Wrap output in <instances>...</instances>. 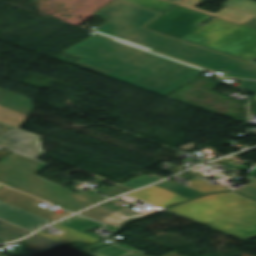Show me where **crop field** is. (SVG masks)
<instances>
[{
	"instance_id": "8a807250",
	"label": "crop field",
	"mask_w": 256,
	"mask_h": 256,
	"mask_svg": "<svg viewBox=\"0 0 256 256\" xmlns=\"http://www.w3.org/2000/svg\"><path fill=\"white\" fill-rule=\"evenodd\" d=\"M63 53L81 58L78 63L108 72L104 76L163 96L206 71L98 34Z\"/></svg>"
},
{
	"instance_id": "ac0d7876",
	"label": "crop field",
	"mask_w": 256,
	"mask_h": 256,
	"mask_svg": "<svg viewBox=\"0 0 256 256\" xmlns=\"http://www.w3.org/2000/svg\"><path fill=\"white\" fill-rule=\"evenodd\" d=\"M160 13L115 0L95 16L110 20L95 32L229 76L256 80V65L144 29Z\"/></svg>"
},
{
	"instance_id": "34b2d1b8",
	"label": "crop field",
	"mask_w": 256,
	"mask_h": 256,
	"mask_svg": "<svg viewBox=\"0 0 256 256\" xmlns=\"http://www.w3.org/2000/svg\"><path fill=\"white\" fill-rule=\"evenodd\" d=\"M210 16L176 5L146 27L246 61L256 58V30L218 18L197 26Z\"/></svg>"
},
{
	"instance_id": "412701ff",
	"label": "crop field",
	"mask_w": 256,
	"mask_h": 256,
	"mask_svg": "<svg viewBox=\"0 0 256 256\" xmlns=\"http://www.w3.org/2000/svg\"><path fill=\"white\" fill-rule=\"evenodd\" d=\"M167 210L244 240L256 237V203L232 192L211 194Z\"/></svg>"
},
{
	"instance_id": "f4fd0767",
	"label": "crop field",
	"mask_w": 256,
	"mask_h": 256,
	"mask_svg": "<svg viewBox=\"0 0 256 256\" xmlns=\"http://www.w3.org/2000/svg\"><path fill=\"white\" fill-rule=\"evenodd\" d=\"M47 165L18 154H11L0 161V182L51 202L78 211L104 199L102 195L75 194L46 180L33 176Z\"/></svg>"
},
{
	"instance_id": "dd49c442",
	"label": "crop field",
	"mask_w": 256,
	"mask_h": 256,
	"mask_svg": "<svg viewBox=\"0 0 256 256\" xmlns=\"http://www.w3.org/2000/svg\"><path fill=\"white\" fill-rule=\"evenodd\" d=\"M126 204L120 205L117 200H110L81 214L97 219L103 223L114 227H121L122 224L133 218L146 216L145 214L125 207Z\"/></svg>"
},
{
	"instance_id": "e52e79f7",
	"label": "crop field",
	"mask_w": 256,
	"mask_h": 256,
	"mask_svg": "<svg viewBox=\"0 0 256 256\" xmlns=\"http://www.w3.org/2000/svg\"><path fill=\"white\" fill-rule=\"evenodd\" d=\"M0 200L55 221L59 218L67 216L71 213L65 212L61 215H58L54 212H51L47 209H44L36 204L42 202L32 196L26 195L24 193L18 192L16 190L10 189L8 187L0 188Z\"/></svg>"
},
{
	"instance_id": "d8731c3e",
	"label": "crop field",
	"mask_w": 256,
	"mask_h": 256,
	"mask_svg": "<svg viewBox=\"0 0 256 256\" xmlns=\"http://www.w3.org/2000/svg\"><path fill=\"white\" fill-rule=\"evenodd\" d=\"M0 145L34 159L43 154L39 138L19 130L0 137Z\"/></svg>"
},
{
	"instance_id": "5a996713",
	"label": "crop field",
	"mask_w": 256,
	"mask_h": 256,
	"mask_svg": "<svg viewBox=\"0 0 256 256\" xmlns=\"http://www.w3.org/2000/svg\"><path fill=\"white\" fill-rule=\"evenodd\" d=\"M0 218L32 232L52 222L2 201H0Z\"/></svg>"
},
{
	"instance_id": "3316defc",
	"label": "crop field",
	"mask_w": 256,
	"mask_h": 256,
	"mask_svg": "<svg viewBox=\"0 0 256 256\" xmlns=\"http://www.w3.org/2000/svg\"><path fill=\"white\" fill-rule=\"evenodd\" d=\"M132 197L147 201L159 207H166L170 204L186 201L188 199L176 194L167 192L158 187H149L144 190L129 194Z\"/></svg>"
},
{
	"instance_id": "28ad6ade",
	"label": "crop field",
	"mask_w": 256,
	"mask_h": 256,
	"mask_svg": "<svg viewBox=\"0 0 256 256\" xmlns=\"http://www.w3.org/2000/svg\"><path fill=\"white\" fill-rule=\"evenodd\" d=\"M202 1L203 0H184V1L180 2L178 5L185 6V7L191 8V9H195V10H198V11H201V12H204V13H208V14H211V15L216 16L218 18H222V19H225V20L240 23L242 25L246 21L255 17V16H252V15L240 13L238 11H235V10L227 8V7L223 8L222 10H220L219 12H217L215 14L194 7L195 5L199 4Z\"/></svg>"
},
{
	"instance_id": "d1516ede",
	"label": "crop field",
	"mask_w": 256,
	"mask_h": 256,
	"mask_svg": "<svg viewBox=\"0 0 256 256\" xmlns=\"http://www.w3.org/2000/svg\"><path fill=\"white\" fill-rule=\"evenodd\" d=\"M0 105L30 115L33 110L31 100L27 97L6 90L0 98Z\"/></svg>"
},
{
	"instance_id": "22f410ed",
	"label": "crop field",
	"mask_w": 256,
	"mask_h": 256,
	"mask_svg": "<svg viewBox=\"0 0 256 256\" xmlns=\"http://www.w3.org/2000/svg\"><path fill=\"white\" fill-rule=\"evenodd\" d=\"M53 226L61 229L62 233L59 234V235H56V236L46 235V234H43L41 232H39L37 234L42 235L44 237H47V238H49L51 240H54L56 242H59L61 244H64L66 242H70L72 240H81V241H84V242L89 244V243H93V242L99 240V239H95L93 237L87 236L85 234L79 233L77 231L71 230L69 228L63 227V226L58 225V224H55Z\"/></svg>"
},
{
	"instance_id": "cbeb9de0",
	"label": "crop field",
	"mask_w": 256,
	"mask_h": 256,
	"mask_svg": "<svg viewBox=\"0 0 256 256\" xmlns=\"http://www.w3.org/2000/svg\"><path fill=\"white\" fill-rule=\"evenodd\" d=\"M102 243H104V241L102 242H99L93 246H86L84 244H76V245H73L71 246L72 248L74 249H77L79 251H82L86 254H89L91 256H124V255H127L129 253H131L130 251H127V250H123L115 245H111L107 248H102V249H99L96 253H92L89 249L91 248H95V247H98L100 245H102Z\"/></svg>"
},
{
	"instance_id": "5142ce71",
	"label": "crop field",
	"mask_w": 256,
	"mask_h": 256,
	"mask_svg": "<svg viewBox=\"0 0 256 256\" xmlns=\"http://www.w3.org/2000/svg\"><path fill=\"white\" fill-rule=\"evenodd\" d=\"M58 224H61L63 226L69 227L71 229L77 230L79 232L85 233L87 235L93 236L95 238L102 237L100 235H95L93 233L85 231L88 228L91 227H100L102 224L94 222L92 220L86 219L81 216H73L67 220H64Z\"/></svg>"
},
{
	"instance_id": "d9b57169",
	"label": "crop field",
	"mask_w": 256,
	"mask_h": 256,
	"mask_svg": "<svg viewBox=\"0 0 256 256\" xmlns=\"http://www.w3.org/2000/svg\"><path fill=\"white\" fill-rule=\"evenodd\" d=\"M26 240L32 253L46 252L57 245H61L37 234L30 236Z\"/></svg>"
},
{
	"instance_id": "733c2abd",
	"label": "crop field",
	"mask_w": 256,
	"mask_h": 256,
	"mask_svg": "<svg viewBox=\"0 0 256 256\" xmlns=\"http://www.w3.org/2000/svg\"><path fill=\"white\" fill-rule=\"evenodd\" d=\"M156 186H158L160 188H163L167 191L176 193L178 195L187 197L189 199L195 198V197L203 194V193H200L198 191H195V190L189 189L187 187H184V186H182L178 183H175L173 181H170V180L165 181V182H161V183L157 184Z\"/></svg>"
},
{
	"instance_id": "4a817a6b",
	"label": "crop field",
	"mask_w": 256,
	"mask_h": 256,
	"mask_svg": "<svg viewBox=\"0 0 256 256\" xmlns=\"http://www.w3.org/2000/svg\"><path fill=\"white\" fill-rule=\"evenodd\" d=\"M27 118L28 115L0 106V121L20 128Z\"/></svg>"
},
{
	"instance_id": "bc2a9ffb",
	"label": "crop field",
	"mask_w": 256,
	"mask_h": 256,
	"mask_svg": "<svg viewBox=\"0 0 256 256\" xmlns=\"http://www.w3.org/2000/svg\"><path fill=\"white\" fill-rule=\"evenodd\" d=\"M31 232L18 228L16 226L10 225L3 221H0V236L11 241L19 239Z\"/></svg>"
},
{
	"instance_id": "214f88e0",
	"label": "crop field",
	"mask_w": 256,
	"mask_h": 256,
	"mask_svg": "<svg viewBox=\"0 0 256 256\" xmlns=\"http://www.w3.org/2000/svg\"><path fill=\"white\" fill-rule=\"evenodd\" d=\"M127 1L157 12H164L170 7H172L174 4L162 1V0H123Z\"/></svg>"
},
{
	"instance_id": "92a150f3",
	"label": "crop field",
	"mask_w": 256,
	"mask_h": 256,
	"mask_svg": "<svg viewBox=\"0 0 256 256\" xmlns=\"http://www.w3.org/2000/svg\"><path fill=\"white\" fill-rule=\"evenodd\" d=\"M184 186L198 190L203 193L211 192V191L229 190V188H225V187H221V186H213V185L205 183L197 178L187 182V184Z\"/></svg>"
},
{
	"instance_id": "dafd665d",
	"label": "crop field",
	"mask_w": 256,
	"mask_h": 256,
	"mask_svg": "<svg viewBox=\"0 0 256 256\" xmlns=\"http://www.w3.org/2000/svg\"><path fill=\"white\" fill-rule=\"evenodd\" d=\"M223 5L256 15V2L251 0H228Z\"/></svg>"
},
{
	"instance_id": "00972430",
	"label": "crop field",
	"mask_w": 256,
	"mask_h": 256,
	"mask_svg": "<svg viewBox=\"0 0 256 256\" xmlns=\"http://www.w3.org/2000/svg\"><path fill=\"white\" fill-rule=\"evenodd\" d=\"M245 178L249 179L250 182L237 191L256 199V178L250 175Z\"/></svg>"
},
{
	"instance_id": "a9b5d70f",
	"label": "crop field",
	"mask_w": 256,
	"mask_h": 256,
	"mask_svg": "<svg viewBox=\"0 0 256 256\" xmlns=\"http://www.w3.org/2000/svg\"><path fill=\"white\" fill-rule=\"evenodd\" d=\"M95 190L99 191L100 193H102V194H104L108 197H112V196L121 194L123 192L129 191V190H132V189L124 187L122 185H119V186H116V187H112L110 189L105 187V186H102V187L97 188Z\"/></svg>"
},
{
	"instance_id": "4177f3b9",
	"label": "crop field",
	"mask_w": 256,
	"mask_h": 256,
	"mask_svg": "<svg viewBox=\"0 0 256 256\" xmlns=\"http://www.w3.org/2000/svg\"><path fill=\"white\" fill-rule=\"evenodd\" d=\"M241 83L245 84V86L241 87V89L256 93V81L244 80Z\"/></svg>"
},
{
	"instance_id": "730fd06b",
	"label": "crop field",
	"mask_w": 256,
	"mask_h": 256,
	"mask_svg": "<svg viewBox=\"0 0 256 256\" xmlns=\"http://www.w3.org/2000/svg\"><path fill=\"white\" fill-rule=\"evenodd\" d=\"M14 130H16V129L0 123V136L7 134L11 131H14Z\"/></svg>"
},
{
	"instance_id": "eef30255",
	"label": "crop field",
	"mask_w": 256,
	"mask_h": 256,
	"mask_svg": "<svg viewBox=\"0 0 256 256\" xmlns=\"http://www.w3.org/2000/svg\"><path fill=\"white\" fill-rule=\"evenodd\" d=\"M119 246H122V247H124V248L130 249V250H132V251H135V252H137V253H139V254H141V255L144 254V252L139 251V250H136V249H134V248H131V247L127 246V245H119ZM166 256H181V255L177 254L176 251H174V252H172V253H170V254H168V255H166Z\"/></svg>"
},
{
	"instance_id": "ae1a2a85",
	"label": "crop field",
	"mask_w": 256,
	"mask_h": 256,
	"mask_svg": "<svg viewBox=\"0 0 256 256\" xmlns=\"http://www.w3.org/2000/svg\"><path fill=\"white\" fill-rule=\"evenodd\" d=\"M244 26L256 29V17L246 22Z\"/></svg>"
},
{
	"instance_id": "d3111659",
	"label": "crop field",
	"mask_w": 256,
	"mask_h": 256,
	"mask_svg": "<svg viewBox=\"0 0 256 256\" xmlns=\"http://www.w3.org/2000/svg\"><path fill=\"white\" fill-rule=\"evenodd\" d=\"M248 174L256 177V166L252 168Z\"/></svg>"
},
{
	"instance_id": "750c4746",
	"label": "crop field",
	"mask_w": 256,
	"mask_h": 256,
	"mask_svg": "<svg viewBox=\"0 0 256 256\" xmlns=\"http://www.w3.org/2000/svg\"><path fill=\"white\" fill-rule=\"evenodd\" d=\"M105 229H108V230L113 231V232L117 231V229H115V228H113V227H111V226H109V225H107V226L105 227Z\"/></svg>"
},
{
	"instance_id": "bd1437ed",
	"label": "crop field",
	"mask_w": 256,
	"mask_h": 256,
	"mask_svg": "<svg viewBox=\"0 0 256 256\" xmlns=\"http://www.w3.org/2000/svg\"><path fill=\"white\" fill-rule=\"evenodd\" d=\"M4 242H10V241L0 237V243H4Z\"/></svg>"
},
{
	"instance_id": "1d83c4d3",
	"label": "crop field",
	"mask_w": 256,
	"mask_h": 256,
	"mask_svg": "<svg viewBox=\"0 0 256 256\" xmlns=\"http://www.w3.org/2000/svg\"><path fill=\"white\" fill-rule=\"evenodd\" d=\"M3 91H4V89H1V88H0V95L3 93Z\"/></svg>"
},
{
	"instance_id": "120bbe31",
	"label": "crop field",
	"mask_w": 256,
	"mask_h": 256,
	"mask_svg": "<svg viewBox=\"0 0 256 256\" xmlns=\"http://www.w3.org/2000/svg\"><path fill=\"white\" fill-rule=\"evenodd\" d=\"M255 99H256V97H255Z\"/></svg>"
}]
</instances>
